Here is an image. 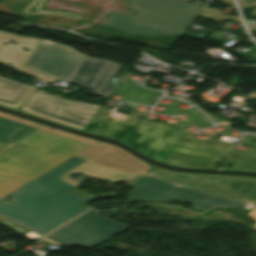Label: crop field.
<instances>
[{
	"mask_svg": "<svg viewBox=\"0 0 256 256\" xmlns=\"http://www.w3.org/2000/svg\"><path fill=\"white\" fill-rule=\"evenodd\" d=\"M85 160L72 157L0 199V224L23 235L32 231L40 236L50 232L83 211L95 199L68 192L75 186L60 176ZM10 203L3 202L8 197Z\"/></svg>",
	"mask_w": 256,
	"mask_h": 256,
	"instance_id": "crop-field-1",
	"label": "crop field"
},
{
	"mask_svg": "<svg viewBox=\"0 0 256 256\" xmlns=\"http://www.w3.org/2000/svg\"><path fill=\"white\" fill-rule=\"evenodd\" d=\"M0 174L30 181L92 144L0 117Z\"/></svg>",
	"mask_w": 256,
	"mask_h": 256,
	"instance_id": "crop-field-2",
	"label": "crop field"
},
{
	"mask_svg": "<svg viewBox=\"0 0 256 256\" xmlns=\"http://www.w3.org/2000/svg\"><path fill=\"white\" fill-rule=\"evenodd\" d=\"M127 7L139 11L135 16L110 12L106 17L110 20L107 26L124 34L183 35L198 16L216 22H242L240 18L221 15V11L178 0H132Z\"/></svg>",
	"mask_w": 256,
	"mask_h": 256,
	"instance_id": "crop-field-3",
	"label": "crop field"
},
{
	"mask_svg": "<svg viewBox=\"0 0 256 256\" xmlns=\"http://www.w3.org/2000/svg\"><path fill=\"white\" fill-rule=\"evenodd\" d=\"M10 41L17 45L10 44ZM4 43L7 45L3 46ZM22 48L30 51L24 52ZM82 56L70 47L51 41L0 31V63L35 78L49 82L56 79L67 81Z\"/></svg>",
	"mask_w": 256,
	"mask_h": 256,
	"instance_id": "crop-field-4",
	"label": "crop field"
},
{
	"mask_svg": "<svg viewBox=\"0 0 256 256\" xmlns=\"http://www.w3.org/2000/svg\"><path fill=\"white\" fill-rule=\"evenodd\" d=\"M84 130L111 135L118 139L134 131L130 139L151 146L147 154L163 162L184 133L181 130L127 115L119 120L99 114L95 115Z\"/></svg>",
	"mask_w": 256,
	"mask_h": 256,
	"instance_id": "crop-field-5",
	"label": "crop field"
},
{
	"mask_svg": "<svg viewBox=\"0 0 256 256\" xmlns=\"http://www.w3.org/2000/svg\"><path fill=\"white\" fill-rule=\"evenodd\" d=\"M145 176L256 206V179L180 174L162 169Z\"/></svg>",
	"mask_w": 256,
	"mask_h": 256,
	"instance_id": "crop-field-6",
	"label": "crop field"
},
{
	"mask_svg": "<svg viewBox=\"0 0 256 256\" xmlns=\"http://www.w3.org/2000/svg\"><path fill=\"white\" fill-rule=\"evenodd\" d=\"M128 227L103 217L92 209L49 234L48 237L57 239L69 247L78 245L93 248Z\"/></svg>",
	"mask_w": 256,
	"mask_h": 256,
	"instance_id": "crop-field-7",
	"label": "crop field"
},
{
	"mask_svg": "<svg viewBox=\"0 0 256 256\" xmlns=\"http://www.w3.org/2000/svg\"><path fill=\"white\" fill-rule=\"evenodd\" d=\"M129 186L138 188L130 193V200L182 199L191 202L193 208L198 210H204L211 206H247L242 203L185 189L174 184L150 179L145 176L140 177Z\"/></svg>",
	"mask_w": 256,
	"mask_h": 256,
	"instance_id": "crop-field-8",
	"label": "crop field"
},
{
	"mask_svg": "<svg viewBox=\"0 0 256 256\" xmlns=\"http://www.w3.org/2000/svg\"><path fill=\"white\" fill-rule=\"evenodd\" d=\"M120 66L110 60L86 56L70 83L87 88L93 94L109 97L116 88L109 83Z\"/></svg>",
	"mask_w": 256,
	"mask_h": 256,
	"instance_id": "crop-field-9",
	"label": "crop field"
},
{
	"mask_svg": "<svg viewBox=\"0 0 256 256\" xmlns=\"http://www.w3.org/2000/svg\"><path fill=\"white\" fill-rule=\"evenodd\" d=\"M229 150L182 138L166 163L177 166L213 169Z\"/></svg>",
	"mask_w": 256,
	"mask_h": 256,
	"instance_id": "crop-field-10",
	"label": "crop field"
},
{
	"mask_svg": "<svg viewBox=\"0 0 256 256\" xmlns=\"http://www.w3.org/2000/svg\"><path fill=\"white\" fill-rule=\"evenodd\" d=\"M87 105L58 96H49L48 93L39 90L22 108L73 124Z\"/></svg>",
	"mask_w": 256,
	"mask_h": 256,
	"instance_id": "crop-field-11",
	"label": "crop field"
},
{
	"mask_svg": "<svg viewBox=\"0 0 256 256\" xmlns=\"http://www.w3.org/2000/svg\"><path fill=\"white\" fill-rule=\"evenodd\" d=\"M89 161L139 175L151 166L112 146Z\"/></svg>",
	"mask_w": 256,
	"mask_h": 256,
	"instance_id": "crop-field-12",
	"label": "crop field"
},
{
	"mask_svg": "<svg viewBox=\"0 0 256 256\" xmlns=\"http://www.w3.org/2000/svg\"><path fill=\"white\" fill-rule=\"evenodd\" d=\"M74 172L97 178H106L112 182L118 180L129 181L136 176L117 169L109 168L106 166L86 161L83 164L79 165L78 167L62 175V180H64L66 183L78 186L79 184L75 183L74 181L68 178V175Z\"/></svg>",
	"mask_w": 256,
	"mask_h": 256,
	"instance_id": "crop-field-13",
	"label": "crop field"
},
{
	"mask_svg": "<svg viewBox=\"0 0 256 256\" xmlns=\"http://www.w3.org/2000/svg\"><path fill=\"white\" fill-rule=\"evenodd\" d=\"M33 87L0 77V101L21 107Z\"/></svg>",
	"mask_w": 256,
	"mask_h": 256,
	"instance_id": "crop-field-14",
	"label": "crop field"
},
{
	"mask_svg": "<svg viewBox=\"0 0 256 256\" xmlns=\"http://www.w3.org/2000/svg\"><path fill=\"white\" fill-rule=\"evenodd\" d=\"M256 153L255 150L249 149L246 153L232 150L224 158L236 161L232 168L254 170L256 171Z\"/></svg>",
	"mask_w": 256,
	"mask_h": 256,
	"instance_id": "crop-field-15",
	"label": "crop field"
},
{
	"mask_svg": "<svg viewBox=\"0 0 256 256\" xmlns=\"http://www.w3.org/2000/svg\"><path fill=\"white\" fill-rule=\"evenodd\" d=\"M45 0H32L21 12V14L30 15V14H49V15H59L67 18H72L79 20L82 15L68 13L64 11L57 10H43Z\"/></svg>",
	"mask_w": 256,
	"mask_h": 256,
	"instance_id": "crop-field-16",
	"label": "crop field"
},
{
	"mask_svg": "<svg viewBox=\"0 0 256 256\" xmlns=\"http://www.w3.org/2000/svg\"><path fill=\"white\" fill-rule=\"evenodd\" d=\"M25 181L0 175V198L24 185Z\"/></svg>",
	"mask_w": 256,
	"mask_h": 256,
	"instance_id": "crop-field-17",
	"label": "crop field"
},
{
	"mask_svg": "<svg viewBox=\"0 0 256 256\" xmlns=\"http://www.w3.org/2000/svg\"><path fill=\"white\" fill-rule=\"evenodd\" d=\"M101 105H91L83 111V113L78 117V119L74 122L72 127L84 129L89 121L94 117L97 111L100 109Z\"/></svg>",
	"mask_w": 256,
	"mask_h": 256,
	"instance_id": "crop-field-18",
	"label": "crop field"
},
{
	"mask_svg": "<svg viewBox=\"0 0 256 256\" xmlns=\"http://www.w3.org/2000/svg\"><path fill=\"white\" fill-rule=\"evenodd\" d=\"M109 146H111V145H107L102 142H97L93 146H91V147L87 148L86 150L80 152L79 154L75 155V157H79V158L88 160V159L92 158L93 156L99 154L100 152H102L103 150L108 148Z\"/></svg>",
	"mask_w": 256,
	"mask_h": 256,
	"instance_id": "crop-field-19",
	"label": "crop field"
},
{
	"mask_svg": "<svg viewBox=\"0 0 256 256\" xmlns=\"http://www.w3.org/2000/svg\"><path fill=\"white\" fill-rule=\"evenodd\" d=\"M0 116L7 117V118H11V119L16 120V121H21V122L27 123V124H29V125H33V126L38 127V128L46 129V130H49V131L54 132V133H59V134H61V135L68 136V137H71V138H74V139H77V140H83V141H86V142H89V143H92V144L95 143V141L82 139V138H80V137H76V136H73V135H70V134L64 133V132H59V131H56V130H54V129H49V128L37 126V125H34V124L30 123V122H26V121H23V120H21V119L15 118V117H11V116H9V115L0 114Z\"/></svg>",
	"mask_w": 256,
	"mask_h": 256,
	"instance_id": "crop-field-20",
	"label": "crop field"
},
{
	"mask_svg": "<svg viewBox=\"0 0 256 256\" xmlns=\"http://www.w3.org/2000/svg\"><path fill=\"white\" fill-rule=\"evenodd\" d=\"M242 10L256 7V0H238Z\"/></svg>",
	"mask_w": 256,
	"mask_h": 256,
	"instance_id": "crop-field-21",
	"label": "crop field"
},
{
	"mask_svg": "<svg viewBox=\"0 0 256 256\" xmlns=\"http://www.w3.org/2000/svg\"><path fill=\"white\" fill-rule=\"evenodd\" d=\"M21 111H24V112H27V113H30V114H33V115H36V116L48 119V120H52V121H55V122H58V123H62V124H65V125H69V126L71 125V124L64 123V122H61V121H58V120H55V119H52V118H48V117H45V116H42V115H39V114H36V113H32V112H29V111H26V110H23V109H21Z\"/></svg>",
	"mask_w": 256,
	"mask_h": 256,
	"instance_id": "crop-field-22",
	"label": "crop field"
},
{
	"mask_svg": "<svg viewBox=\"0 0 256 256\" xmlns=\"http://www.w3.org/2000/svg\"><path fill=\"white\" fill-rule=\"evenodd\" d=\"M247 217H249V218H251L252 220L256 221V210L253 211V212H251V213H249ZM253 226L256 228V224L253 225Z\"/></svg>",
	"mask_w": 256,
	"mask_h": 256,
	"instance_id": "crop-field-23",
	"label": "crop field"
},
{
	"mask_svg": "<svg viewBox=\"0 0 256 256\" xmlns=\"http://www.w3.org/2000/svg\"><path fill=\"white\" fill-rule=\"evenodd\" d=\"M0 105H2V106H7V107H11V108H13V109H16L15 106H12V105H9V104H5V103H1V102H0ZM16 110H18V109H16Z\"/></svg>",
	"mask_w": 256,
	"mask_h": 256,
	"instance_id": "crop-field-24",
	"label": "crop field"
}]
</instances>
